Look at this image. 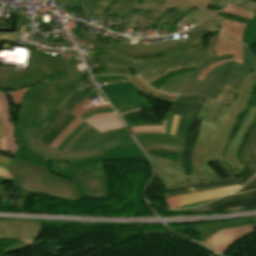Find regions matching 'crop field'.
Returning <instances> with one entry per match:
<instances>
[{"mask_svg": "<svg viewBox=\"0 0 256 256\" xmlns=\"http://www.w3.org/2000/svg\"><path fill=\"white\" fill-rule=\"evenodd\" d=\"M77 82L80 81L71 82L67 80L49 83L28 89L25 92L14 129L13 137L19 141V145L13 158L50 169L51 172L71 180L81 196L85 197L86 194L78 180L76 168L89 166L91 174L104 175L101 160L138 157L144 154L142 155L136 143L132 140L133 138L131 139L124 128L101 134L91 127L86 134L75 142L69 152L100 150L101 153L66 157L67 162L52 160L29 147V135L33 136L54 108L59 109L69 95L81 87ZM48 105L54 108L48 107Z\"/></svg>", "mask_w": 256, "mask_h": 256, "instance_id": "crop-field-1", "label": "crop field"}, {"mask_svg": "<svg viewBox=\"0 0 256 256\" xmlns=\"http://www.w3.org/2000/svg\"><path fill=\"white\" fill-rule=\"evenodd\" d=\"M234 112L223 108L217 123L202 120L192 153L193 170L178 168L176 163L148 154L154 164L182 169L191 173H214L209 164L221 161L219 150L223 135ZM216 172V171H215Z\"/></svg>", "mask_w": 256, "mask_h": 256, "instance_id": "crop-field-2", "label": "crop field"}, {"mask_svg": "<svg viewBox=\"0 0 256 256\" xmlns=\"http://www.w3.org/2000/svg\"><path fill=\"white\" fill-rule=\"evenodd\" d=\"M7 170L14 177L12 186L67 198H81L71 181L55 175L47 169L12 159Z\"/></svg>", "mask_w": 256, "mask_h": 256, "instance_id": "crop-field-3", "label": "crop field"}, {"mask_svg": "<svg viewBox=\"0 0 256 256\" xmlns=\"http://www.w3.org/2000/svg\"><path fill=\"white\" fill-rule=\"evenodd\" d=\"M243 55L244 66L235 61L224 63L211 71L206 76L204 82L195 80L188 81L180 94L200 93L215 100L219 91L225 84L239 86L245 75L255 69L256 64V58L245 45H243Z\"/></svg>", "mask_w": 256, "mask_h": 256, "instance_id": "crop-field-4", "label": "crop field"}, {"mask_svg": "<svg viewBox=\"0 0 256 256\" xmlns=\"http://www.w3.org/2000/svg\"><path fill=\"white\" fill-rule=\"evenodd\" d=\"M209 59L207 50H202L135 64L139 74L150 84L168 73L198 67Z\"/></svg>", "mask_w": 256, "mask_h": 256, "instance_id": "crop-field-5", "label": "crop field"}, {"mask_svg": "<svg viewBox=\"0 0 256 256\" xmlns=\"http://www.w3.org/2000/svg\"><path fill=\"white\" fill-rule=\"evenodd\" d=\"M256 82V70L247 74L239 87L232 85H225L221 90L217 100L223 102L224 106L229 110L235 111L229 127L224 135L220 155L223 161V150L228 140V137L234 127L236 119L244 111L247 106L249 97L253 91Z\"/></svg>", "mask_w": 256, "mask_h": 256, "instance_id": "crop-field-6", "label": "crop field"}, {"mask_svg": "<svg viewBox=\"0 0 256 256\" xmlns=\"http://www.w3.org/2000/svg\"><path fill=\"white\" fill-rule=\"evenodd\" d=\"M81 32L89 44L108 52L107 55L118 57V58L133 59L134 62H138V61H145V60L169 57V56H173V55H177V54H181V53H185V52H189V51H194V50L207 49V45L202 46V43L195 47H193L190 43L199 40L200 38H202L203 35L211 32V30L206 31L202 35H200L194 39H191L189 41H186L182 44H178V45L172 46V47L164 49V50L153 51V52H149V53H128V52H124V51H121L118 49H112L108 46H105V45L97 42L95 38L92 39V37L88 34V32L86 30H83Z\"/></svg>", "mask_w": 256, "mask_h": 256, "instance_id": "crop-field-7", "label": "crop field"}, {"mask_svg": "<svg viewBox=\"0 0 256 256\" xmlns=\"http://www.w3.org/2000/svg\"><path fill=\"white\" fill-rule=\"evenodd\" d=\"M40 235L39 222H18L0 220V236L8 239L24 240L18 244L4 249L13 252L30 246Z\"/></svg>", "mask_w": 256, "mask_h": 256, "instance_id": "crop-field-8", "label": "crop field"}, {"mask_svg": "<svg viewBox=\"0 0 256 256\" xmlns=\"http://www.w3.org/2000/svg\"><path fill=\"white\" fill-rule=\"evenodd\" d=\"M45 79H68L65 64L32 67L27 70L12 71V87Z\"/></svg>", "mask_w": 256, "mask_h": 256, "instance_id": "crop-field-9", "label": "crop field"}, {"mask_svg": "<svg viewBox=\"0 0 256 256\" xmlns=\"http://www.w3.org/2000/svg\"><path fill=\"white\" fill-rule=\"evenodd\" d=\"M158 177L163 182L165 188H172L185 185L200 184L220 180L214 174H191L181 170L165 168L156 165Z\"/></svg>", "mask_w": 256, "mask_h": 256, "instance_id": "crop-field-10", "label": "crop field"}, {"mask_svg": "<svg viewBox=\"0 0 256 256\" xmlns=\"http://www.w3.org/2000/svg\"><path fill=\"white\" fill-rule=\"evenodd\" d=\"M253 207H256V190L248 193L238 194V195H228L212 203H209L201 208L167 210V212L212 211V210L253 208Z\"/></svg>", "mask_w": 256, "mask_h": 256, "instance_id": "crop-field-11", "label": "crop field"}, {"mask_svg": "<svg viewBox=\"0 0 256 256\" xmlns=\"http://www.w3.org/2000/svg\"><path fill=\"white\" fill-rule=\"evenodd\" d=\"M213 49L217 56L234 54L235 59L219 61L209 65L199 73L197 79L203 80L209 71H211L212 69H214L216 66H218L223 62L235 60L236 62L243 64L242 43L229 39L225 34L221 32L214 41Z\"/></svg>", "mask_w": 256, "mask_h": 256, "instance_id": "crop-field-12", "label": "crop field"}, {"mask_svg": "<svg viewBox=\"0 0 256 256\" xmlns=\"http://www.w3.org/2000/svg\"><path fill=\"white\" fill-rule=\"evenodd\" d=\"M253 231L250 225L223 230L216 233L202 244L223 255L231 245Z\"/></svg>", "mask_w": 256, "mask_h": 256, "instance_id": "crop-field-13", "label": "crop field"}, {"mask_svg": "<svg viewBox=\"0 0 256 256\" xmlns=\"http://www.w3.org/2000/svg\"><path fill=\"white\" fill-rule=\"evenodd\" d=\"M256 116V105L249 109L244 121L242 122L240 128L238 129L235 137L231 140L228 149L225 154V162L237 173H241L246 167L240 164L235 156L236 151L249 130L254 118Z\"/></svg>", "mask_w": 256, "mask_h": 256, "instance_id": "crop-field-14", "label": "crop field"}, {"mask_svg": "<svg viewBox=\"0 0 256 256\" xmlns=\"http://www.w3.org/2000/svg\"><path fill=\"white\" fill-rule=\"evenodd\" d=\"M240 185L233 186V187H227V188H221V189H215V190H209V191H203V192H197L193 194L183 195V196H177V197H171L166 199L168 205L170 208L187 205L199 201H203L209 198L222 196L225 194L232 193L236 190H238Z\"/></svg>", "mask_w": 256, "mask_h": 256, "instance_id": "crop-field-15", "label": "crop field"}, {"mask_svg": "<svg viewBox=\"0 0 256 256\" xmlns=\"http://www.w3.org/2000/svg\"><path fill=\"white\" fill-rule=\"evenodd\" d=\"M140 145L178 151L179 137L156 133L133 134Z\"/></svg>", "mask_w": 256, "mask_h": 256, "instance_id": "crop-field-16", "label": "crop field"}, {"mask_svg": "<svg viewBox=\"0 0 256 256\" xmlns=\"http://www.w3.org/2000/svg\"><path fill=\"white\" fill-rule=\"evenodd\" d=\"M229 0H166L164 6H139L143 9H170L173 7H193L208 10V6L223 8Z\"/></svg>", "mask_w": 256, "mask_h": 256, "instance_id": "crop-field-17", "label": "crop field"}, {"mask_svg": "<svg viewBox=\"0 0 256 256\" xmlns=\"http://www.w3.org/2000/svg\"><path fill=\"white\" fill-rule=\"evenodd\" d=\"M215 16L216 17L206 24L202 29H221L229 37L242 42V35L247 25L246 23L226 19L217 15Z\"/></svg>", "mask_w": 256, "mask_h": 256, "instance_id": "crop-field-18", "label": "crop field"}, {"mask_svg": "<svg viewBox=\"0 0 256 256\" xmlns=\"http://www.w3.org/2000/svg\"><path fill=\"white\" fill-rule=\"evenodd\" d=\"M248 224H250L254 229H256V217L239 219V220H234V221H229V222L214 224V225H199V226H191V227L193 230L200 233L201 237L199 242L201 243L222 229L237 227V226H244Z\"/></svg>", "mask_w": 256, "mask_h": 256, "instance_id": "crop-field-19", "label": "crop field"}, {"mask_svg": "<svg viewBox=\"0 0 256 256\" xmlns=\"http://www.w3.org/2000/svg\"><path fill=\"white\" fill-rule=\"evenodd\" d=\"M77 173L88 196L106 194L104 183L107 176H92L89 173L88 167L77 169Z\"/></svg>", "mask_w": 256, "mask_h": 256, "instance_id": "crop-field-20", "label": "crop field"}, {"mask_svg": "<svg viewBox=\"0 0 256 256\" xmlns=\"http://www.w3.org/2000/svg\"><path fill=\"white\" fill-rule=\"evenodd\" d=\"M140 92L118 95L108 98L114 108L119 112H125L140 108L138 103L148 102L147 99L140 97Z\"/></svg>", "mask_w": 256, "mask_h": 256, "instance_id": "crop-field-21", "label": "crop field"}, {"mask_svg": "<svg viewBox=\"0 0 256 256\" xmlns=\"http://www.w3.org/2000/svg\"><path fill=\"white\" fill-rule=\"evenodd\" d=\"M191 120L192 119H188V118L181 117V116L179 118L177 130H176V134H175L177 136H180L179 152L157 149V148H152V147H145V146H143V148L156 150V151H160V152H167V153H171V154H176V155H178L177 164H178L179 167H182L184 149H185V141H186V136H187V132H188Z\"/></svg>", "mask_w": 256, "mask_h": 256, "instance_id": "crop-field-22", "label": "crop field"}, {"mask_svg": "<svg viewBox=\"0 0 256 256\" xmlns=\"http://www.w3.org/2000/svg\"><path fill=\"white\" fill-rule=\"evenodd\" d=\"M256 125L251 131L242 151L240 152L239 159L242 164L256 171Z\"/></svg>", "mask_w": 256, "mask_h": 256, "instance_id": "crop-field-23", "label": "crop field"}, {"mask_svg": "<svg viewBox=\"0 0 256 256\" xmlns=\"http://www.w3.org/2000/svg\"><path fill=\"white\" fill-rule=\"evenodd\" d=\"M29 143H30V146L37 152H39L43 155H46L52 159H57L60 161H66L65 156H80V155H86V154L99 152V151H96V152H90V153H87V152L64 153V152L55 150L54 148H51L32 137H29Z\"/></svg>", "mask_w": 256, "mask_h": 256, "instance_id": "crop-field-24", "label": "crop field"}, {"mask_svg": "<svg viewBox=\"0 0 256 256\" xmlns=\"http://www.w3.org/2000/svg\"><path fill=\"white\" fill-rule=\"evenodd\" d=\"M94 128H96L101 133L107 130L121 128L123 125L116 117L115 113L112 114H100L90 117L88 120Z\"/></svg>", "mask_w": 256, "mask_h": 256, "instance_id": "crop-field-25", "label": "crop field"}, {"mask_svg": "<svg viewBox=\"0 0 256 256\" xmlns=\"http://www.w3.org/2000/svg\"><path fill=\"white\" fill-rule=\"evenodd\" d=\"M3 139H0V149L15 153L18 141L12 138L14 126L10 125L9 115L0 116Z\"/></svg>", "mask_w": 256, "mask_h": 256, "instance_id": "crop-field-26", "label": "crop field"}, {"mask_svg": "<svg viewBox=\"0 0 256 256\" xmlns=\"http://www.w3.org/2000/svg\"><path fill=\"white\" fill-rule=\"evenodd\" d=\"M201 95L181 96L173 104L170 112L189 117Z\"/></svg>", "mask_w": 256, "mask_h": 256, "instance_id": "crop-field-27", "label": "crop field"}, {"mask_svg": "<svg viewBox=\"0 0 256 256\" xmlns=\"http://www.w3.org/2000/svg\"><path fill=\"white\" fill-rule=\"evenodd\" d=\"M124 40L120 43V45L117 48L124 51H129V52H149L153 50L167 48L178 43H182V40H177V41H173L165 44L143 45V39H138V45H132V44L123 43Z\"/></svg>", "mask_w": 256, "mask_h": 256, "instance_id": "crop-field-28", "label": "crop field"}, {"mask_svg": "<svg viewBox=\"0 0 256 256\" xmlns=\"http://www.w3.org/2000/svg\"><path fill=\"white\" fill-rule=\"evenodd\" d=\"M74 118L75 116L65 113L57 124L40 141L49 145Z\"/></svg>", "mask_w": 256, "mask_h": 256, "instance_id": "crop-field-29", "label": "crop field"}, {"mask_svg": "<svg viewBox=\"0 0 256 256\" xmlns=\"http://www.w3.org/2000/svg\"><path fill=\"white\" fill-rule=\"evenodd\" d=\"M127 78L142 92H145L151 96L174 101L175 94H167V93L159 92V91L153 89L152 87H150L149 85H147L139 76L127 77Z\"/></svg>", "mask_w": 256, "mask_h": 256, "instance_id": "crop-field-30", "label": "crop field"}, {"mask_svg": "<svg viewBox=\"0 0 256 256\" xmlns=\"http://www.w3.org/2000/svg\"><path fill=\"white\" fill-rule=\"evenodd\" d=\"M26 90L15 91L8 94L0 92V114H9V103L20 104L21 97Z\"/></svg>", "mask_w": 256, "mask_h": 256, "instance_id": "crop-field-31", "label": "crop field"}, {"mask_svg": "<svg viewBox=\"0 0 256 256\" xmlns=\"http://www.w3.org/2000/svg\"><path fill=\"white\" fill-rule=\"evenodd\" d=\"M102 91L109 96L139 91L131 82L101 86Z\"/></svg>", "mask_w": 256, "mask_h": 256, "instance_id": "crop-field-32", "label": "crop field"}, {"mask_svg": "<svg viewBox=\"0 0 256 256\" xmlns=\"http://www.w3.org/2000/svg\"><path fill=\"white\" fill-rule=\"evenodd\" d=\"M63 114L64 112L55 109L48 117L45 124L35 133L34 138L40 140L55 125Z\"/></svg>", "mask_w": 256, "mask_h": 256, "instance_id": "crop-field-33", "label": "crop field"}, {"mask_svg": "<svg viewBox=\"0 0 256 256\" xmlns=\"http://www.w3.org/2000/svg\"><path fill=\"white\" fill-rule=\"evenodd\" d=\"M61 63H65L62 58L42 57L39 53L32 51L28 67Z\"/></svg>", "mask_w": 256, "mask_h": 256, "instance_id": "crop-field-34", "label": "crop field"}, {"mask_svg": "<svg viewBox=\"0 0 256 256\" xmlns=\"http://www.w3.org/2000/svg\"><path fill=\"white\" fill-rule=\"evenodd\" d=\"M91 103L87 98L85 100H83L72 112V114L78 116L79 118L83 115H85L86 113L92 111V110H97V109H105V108H110L109 104L106 105H91L88 106L86 108H84L83 106L87 105Z\"/></svg>", "mask_w": 256, "mask_h": 256, "instance_id": "crop-field-35", "label": "crop field"}, {"mask_svg": "<svg viewBox=\"0 0 256 256\" xmlns=\"http://www.w3.org/2000/svg\"><path fill=\"white\" fill-rule=\"evenodd\" d=\"M86 98L83 94L79 92H74L70 95L67 101L62 105L60 110L67 111L71 113L73 109L84 99Z\"/></svg>", "mask_w": 256, "mask_h": 256, "instance_id": "crop-field-36", "label": "crop field"}, {"mask_svg": "<svg viewBox=\"0 0 256 256\" xmlns=\"http://www.w3.org/2000/svg\"><path fill=\"white\" fill-rule=\"evenodd\" d=\"M82 120L75 118L66 129L50 144V146L57 148L59 144L76 128V126L81 123Z\"/></svg>", "mask_w": 256, "mask_h": 256, "instance_id": "crop-field-37", "label": "crop field"}, {"mask_svg": "<svg viewBox=\"0 0 256 256\" xmlns=\"http://www.w3.org/2000/svg\"><path fill=\"white\" fill-rule=\"evenodd\" d=\"M211 102L212 101H210L209 99L202 96L201 100L199 101V103L195 107L191 117H196V118L203 119L208 107L211 104Z\"/></svg>", "mask_w": 256, "mask_h": 256, "instance_id": "crop-field-38", "label": "crop field"}, {"mask_svg": "<svg viewBox=\"0 0 256 256\" xmlns=\"http://www.w3.org/2000/svg\"><path fill=\"white\" fill-rule=\"evenodd\" d=\"M223 12H226L228 14L234 15V16H238V17H242V18H247V19H252L255 15V13L252 12H248L245 11L243 9H240L236 6L230 5L228 4L224 10H222Z\"/></svg>", "mask_w": 256, "mask_h": 256, "instance_id": "crop-field-39", "label": "crop field"}, {"mask_svg": "<svg viewBox=\"0 0 256 256\" xmlns=\"http://www.w3.org/2000/svg\"><path fill=\"white\" fill-rule=\"evenodd\" d=\"M222 105L223 104L219 102L213 101L206 113L204 120H210V121L216 122L221 113Z\"/></svg>", "mask_w": 256, "mask_h": 256, "instance_id": "crop-field-40", "label": "crop field"}, {"mask_svg": "<svg viewBox=\"0 0 256 256\" xmlns=\"http://www.w3.org/2000/svg\"><path fill=\"white\" fill-rule=\"evenodd\" d=\"M109 65L112 66H124V67H136L133 60L118 59L109 56H103Z\"/></svg>", "mask_w": 256, "mask_h": 256, "instance_id": "crop-field-41", "label": "crop field"}, {"mask_svg": "<svg viewBox=\"0 0 256 256\" xmlns=\"http://www.w3.org/2000/svg\"><path fill=\"white\" fill-rule=\"evenodd\" d=\"M134 8L131 7H125L119 3H117L110 11V15H115L119 17H125L127 14H129Z\"/></svg>", "mask_w": 256, "mask_h": 256, "instance_id": "crop-field-42", "label": "crop field"}, {"mask_svg": "<svg viewBox=\"0 0 256 256\" xmlns=\"http://www.w3.org/2000/svg\"><path fill=\"white\" fill-rule=\"evenodd\" d=\"M88 124L84 121L77 126V128L61 143V145L57 148L59 150H63L67 144L75 137L77 133H79L84 127H86Z\"/></svg>", "mask_w": 256, "mask_h": 256, "instance_id": "crop-field-43", "label": "crop field"}, {"mask_svg": "<svg viewBox=\"0 0 256 256\" xmlns=\"http://www.w3.org/2000/svg\"><path fill=\"white\" fill-rule=\"evenodd\" d=\"M230 58H234L233 55H227V56H220V57H216L212 60H209L207 62H205L204 64H202L200 67L196 68V70L194 71V73L191 76V79H195L198 75V73L203 70L207 65H209L210 63L214 62V61H219V60H223V59H230Z\"/></svg>", "mask_w": 256, "mask_h": 256, "instance_id": "crop-field-44", "label": "crop field"}, {"mask_svg": "<svg viewBox=\"0 0 256 256\" xmlns=\"http://www.w3.org/2000/svg\"><path fill=\"white\" fill-rule=\"evenodd\" d=\"M0 86L3 88L11 87V71H0Z\"/></svg>", "mask_w": 256, "mask_h": 256, "instance_id": "crop-field-45", "label": "crop field"}, {"mask_svg": "<svg viewBox=\"0 0 256 256\" xmlns=\"http://www.w3.org/2000/svg\"><path fill=\"white\" fill-rule=\"evenodd\" d=\"M94 79L97 81V83H100V82L126 80L127 78L124 76L104 75V76H94Z\"/></svg>", "mask_w": 256, "mask_h": 256, "instance_id": "crop-field-46", "label": "crop field"}, {"mask_svg": "<svg viewBox=\"0 0 256 256\" xmlns=\"http://www.w3.org/2000/svg\"><path fill=\"white\" fill-rule=\"evenodd\" d=\"M235 182H237L236 179L227 180V181H224V182L215 183V184H209V185H205V186L192 187V188H188V189H184V190L171 191V192L165 193V195H166V194H171V193H177V192L187 191V190L200 189V188L209 187V186H219V185H224V184H227V183H235Z\"/></svg>", "mask_w": 256, "mask_h": 256, "instance_id": "crop-field-47", "label": "crop field"}, {"mask_svg": "<svg viewBox=\"0 0 256 256\" xmlns=\"http://www.w3.org/2000/svg\"><path fill=\"white\" fill-rule=\"evenodd\" d=\"M189 77L190 75L176 81L167 92L178 94L181 86L189 79Z\"/></svg>", "mask_w": 256, "mask_h": 256, "instance_id": "crop-field-48", "label": "crop field"}, {"mask_svg": "<svg viewBox=\"0 0 256 256\" xmlns=\"http://www.w3.org/2000/svg\"><path fill=\"white\" fill-rule=\"evenodd\" d=\"M93 2L94 0H87ZM98 4L91 11L93 14L100 15L105 6L110 2V0H98Z\"/></svg>", "mask_w": 256, "mask_h": 256, "instance_id": "crop-field-49", "label": "crop field"}, {"mask_svg": "<svg viewBox=\"0 0 256 256\" xmlns=\"http://www.w3.org/2000/svg\"><path fill=\"white\" fill-rule=\"evenodd\" d=\"M243 7H247L253 10H256V2L253 0H231Z\"/></svg>", "mask_w": 256, "mask_h": 256, "instance_id": "crop-field-50", "label": "crop field"}, {"mask_svg": "<svg viewBox=\"0 0 256 256\" xmlns=\"http://www.w3.org/2000/svg\"><path fill=\"white\" fill-rule=\"evenodd\" d=\"M192 73H193V72H191V73H185V74H180V75H178V76H176V77L170 79V81L168 80L169 82L165 83L159 90L166 92V91L169 89V87H170L177 79H179V78H181V77H183V76H186V75H188V74H192Z\"/></svg>", "mask_w": 256, "mask_h": 256, "instance_id": "crop-field-51", "label": "crop field"}, {"mask_svg": "<svg viewBox=\"0 0 256 256\" xmlns=\"http://www.w3.org/2000/svg\"><path fill=\"white\" fill-rule=\"evenodd\" d=\"M217 11H219V10H216V11H202L194 19L201 22V21L207 19L208 17H210L211 15H213L214 13H216Z\"/></svg>", "mask_w": 256, "mask_h": 256, "instance_id": "crop-field-52", "label": "crop field"}, {"mask_svg": "<svg viewBox=\"0 0 256 256\" xmlns=\"http://www.w3.org/2000/svg\"><path fill=\"white\" fill-rule=\"evenodd\" d=\"M237 184H239V183H236V184H227V185L220 186V187H209V188H205V189L193 190V191L182 192V193H177V194H172V195H166L165 198H168V197H171V196H176V195H183V194L193 193V192L202 191V190H209V189H215V188L233 186V185H237Z\"/></svg>", "mask_w": 256, "mask_h": 256, "instance_id": "crop-field-53", "label": "crop field"}, {"mask_svg": "<svg viewBox=\"0 0 256 256\" xmlns=\"http://www.w3.org/2000/svg\"><path fill=\"white\" fill-rule=\"evenodd\" d=\"M165 125H166V117L163 119L162 130H156V129L135 130V131H132V133H139V132H156V133H162V134H164Z\"/></svg>", "mask_w": 256, "mask_h": 256, "instance_id": "crop-field-54", "label": "crop field"}, {"mask_svg": "<svg viewBox=\"0 0 256 256\" xmlns=\"http://www.w3.org/2000/svg\"><path fill=\"white\" fill-rule=\"evenodd\" d=\"M253 188H256V176L244 188H242L240 191H237L235 193H242L244 191H247Z\"/></svg>", "mask_w": 256, "mask_h": 256, "instance_id": "crop-field-55", "label": "crop field"}, {"mask_svg": "<svg viewBox=\"0 0 256 256\" xmlns=\"http://www.w3.org/2000/svg\"><path fill=\"white\" fill-rule=\"evenodd\" d=\"M220 164L231 176V178H236L239 174L235 173L224 161L223 162H217Z\"/></svg>", "mask_w": 256, "mask_h": 256, "instance_id": "crop-field-56", "label": "crop field"}, {"mask_svg": "<svg viewBox=\"0 0 256 256\" xmlns=\"http://www.w3.org/2000/svg\"><path fill=\"white\" fill-rule=\"evenodd\" d=\"M129 127L140 126V125H162V122H133L128 123Z\"/></svg>", "mask_w": 256, "mask_h": 256, "instance_id": "crop-field-57", "label": "crop field"}, {"mask_svg": "<svg viewBox=\"0 0 256 256\" xmlns=\"http://www.w3.org/2000/svg\"><path fill=\"white\" fill-rule=\"evenodd\" d=\"M218 33H219V31L216 33L215 36L211 37V39L209 40L208 51H209L210 58H213L216 56L212 49V44H213L214 39L217 37Z\"/></svg>", "mask_w": 256, "mask_h": 256, "instance_id": "crop-field-58", "label": "crop field"}, {"mask_svg": "<svg viewBox=\"0 0 256 256\" xmlns=\"http://www.w3.org/2000/svg\"><path fill=\"white\" fill-rule=\"evenodd\" d=\"M70 63H71L72 69H73V73H74L75 79L76 80H81L82 77H81V75H80V73H79V71H78L74 61L70 60Z\"/></svg>", "mask_w": 256, "mask_h": 256, "instance_id": "crop-field-59", "label": "crop field"}, {"mask_svg": "<svg viewBox=\"0 0 256 256\" xmlns=\"http://www.w3.org/2000/svg\"><path fill=\"white\" fill-rule=\"evenodd\" d=\"M106 112H113L112 109H106V110H97V111H93L90 112L88 114H86L85 116L81 117L82 119H86L94 114H98V113H106Z\"/></svg>", "mask_w": 256, "mask_h": 256, "instance_id": "crop-field-60", "label": "crop field"}, {"mask_svg": "<svg viewBox=\"0 0 256 256\" xmlns=\"http://www.w3.org/2000/svg\"><path fill=\"white\" fill-rule=\"evenodd\" d=\"M113 1L119 2L125 6H131V7L136 8V6L134 5L135 0H113Z\"/></svg>", "mask_w": 256, "mask_h": 256, "instance_id": "crop-field-61", "label": "crop field"}, {"mask_svg": "<svg viewBox=\"0 0 256 256\" xmlns=\"http://www.w3.org/2000/svg\"><path fill=\"white\" fill-rule=\"evenodd\" d=\"M172 117H173V115H170V114H168V116H167V125H166L165 134H169V131L171 129Z\"/></svg>", "mask_w": 256, "mask_h": 256, "instance_id": "crop-field-62", "label": "crop field"}, {"mask_svg": "<svg viewBox=\"0 0 256 256\" xmlns=\"http://www.w3.org/2000/svg\"><path fill=\"white\" fill-rule=\"evenodd\" d=\"M254 174H256V173H253V174H250V175H247L245 177L238 179L241 186L244 185Z\"/></svg>", "mask_w": 256, "mask_h": 256, "instance_id": "crop-field-63", "label": "crop field"}, {"mask_svg": "<svg viewBox=\"0 0 256 256\" xmlns=\"http://www.w3.org/2000/svg\"><path fill=\"white\" fill-rule=\"evenodd\" d=\"M178 117H179V116H175V115H174V117H173L172 129H171V131H170V134H172V135H174V133H175V129H176Z\"/></svg>", "mask_w": 256, "mask_h": 256, "instance_id": "crop-field-64", "label": "crop field"}, {"mask_svg": "<svg viewBox=\"0 0 256 256\" xmlns=\"http://www.w3.org/2000/svg\"><path fill=\"white\" fill-rule=\"evenodd\" d=\"M0 175L4 176V177H7V178H10V179L13 178L7 170H5L1 167H0Z\"/></svg>", "mask_w": 256, "mask_h": 256, "instance_id": "crop-field-65", "label": "crop field"}, {"mask_svg": "<svg viewBox=\"0 0 256 256\" xmlns=\"http://www.w3.org/2000/svg\"><path fill=\"white\" fill-rule=\"evenodd\" d=\"M66 64H67V69H68L70 78H71V80L73 81V80H75V79H74V76H73V73H72V70H71V66H70V63H69V60H68V59L66 60Z\"/></svg>", "mask_w": 256, "mask_h": 256, "instance_id": "crop-field-66", "label": "crop field"}, {"mask_svg": "<svg viewBox=\"0 0 256 256\" xmlns=\"http://www.w3.org/2000/svg\"><path fill=\"white\" fill-rule=\"evenodd\" d=\"M146 128L161 129V126H140V127H133V128H131V130H134V129H146Z\"/></svg>", "mask_w": 256, "mask_h": 256, "instance_id": "crop-field-67", "label": "crop field"}, {"mask_svg": "<svg viewBox=\"0 0 256 256\" xmlns=\"http://www.w3.org/2000/svg\"><path fill=\"white\" fill-rule=\"evenodd\" d=\"M10 160H11V158L0 156V162L1 163H7L8 164Z\"/></svg>", "mask_w": 256, "mask_h": 256, "instance_id": "crop-field-68", "label": "crop field"}, {"mask_svg": "<svg viewBox=\"0 0 256 256\" xmlns=\"http://www.w3.org/2000/svg\"><path fill=\"white\" fill-rule=\"evenodd\" d=\"M9 181V179L4 178V177H0V185H2L3 183Z\"/></svg>", "mask_w": 256, "mask_h": 256, "instance_id": "crop-field-69", "label": "crop field"}, {"mask_svg": "<svg viewBox=\"0 0 256 256\" xmlns=\"http://www.w3.org/2000/svg\"><path fill=\"white\" fill-rule=\"evenodd\" d=\"M45 81H48V80H45ZM45 81H41V82H45ZM41 82H36V83H41ZM36 83H32V84H36ZM32 84H27V85H23V86H18V87H14V88H11V89H17V88H21V87L28 86V85H32Z\"/></svg>", "mask_w": 256, "mask_h": 256, "instance_id": "crop-field-70", "label": "crop field"}, {"mask_svg": "<svg viewBox=\"0 0 256 256\" xmlns=\"http://www.w3.org/2000/svg\"><path fill=\"white\" fill-rule=\"evenodd\" d=\"M98 92H99L98 89H96V90H94V91H92V92L86 94V96L90 97V96H92V95H94V94H96V93H98Z\"/></svg>", "mask_w": 256, "mask_h": 256, "instance_id": "crop-field-71", "label": "crop field"}, {"mask_svg": "<svg viewBox=\"0 0 256 256\" xmlns=\"http://www.w3.org/2000/svg\"><path fill=\"white\" fill-rule=\"evenodd\" d=\"M0 166L6 169L8 165H7V164H1V163H0Z\"/></svg>", "mask_w": 256, "mask_h": 256, "instance_id": "crop-field-72", "label": "crop field"}, {"mask_svg": "<svg viewBox=\"0 0 256 256\" xmlns=\"http://www.w3.org/2000/svg\"><path fill=\"white\" fill-rule=\"evenodd\" d=\"M0 138H2V134H1V126H0Z\"/></svg>", "mask_w": 256, "mask_h": 256, "instance_id": "crop-field-73", "label": "crop field"}, {"mask_svg": "<svg viewBox=\"0 0 256 256\" xmlns=\"http://www.w3.org/2000/svg\"><path fill=\"white\" fill-rule=\"evenodd\" d=\"M256 153V152H255Z\"/></svg>", "mask_w": 256, "mask_h": 256, "instance_id": "crop-field-74", "label": "crop field"}]
</instances>
